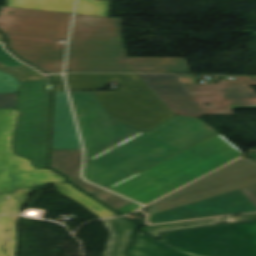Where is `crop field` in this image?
<instances>
[{"mask_svg": "<svg viewBox=\"0 0 256 256\" xmlns=\"http://www.w3.org/2000/svg\"><path fill=\"white\" fill-rule=\"evenodd\" d=\"M138 75L176 115L234 114L232 109L256 108V93L249 87L256 85V76L236 77L239 81H220L219 85L191 86L181 84L176 75Z\"/></svg>", "mask_w": 256, "mask_h": 256, "instance_id": "crop-field-7", "label": "crop field"}, {"mask_svg": "<svg viewBox=\"0 0 256 256\" xmlns=\"http://www.w3.org/2000/svg\"><path fill=\"white\" fill-rule=\"evenodd\" d=\"M242 154L218 134L108 189L146 205Z\"/></svg>", "mask_w": 256, "mask_h": 256, "instance_id": "crop-field-4", "label": "crop field"}, {"mask_svg": "<svg viewBox=\"0 0 256 256\" xmlns=\"http://www.w3.org/2000/svg\"><path fill=\"white\" fill-rule=\"evenodd\" d=\"M218 223H223V222L220 218H213V219L197 220V221L174 223V224L147 226V227L141 228V231L157 239H160L161 232L163 231L182 229V228H188V227L206 225V224H218Z\"/></svg>", "mask_w": 256, "mask_h": 256, "instance_id": "crop-field-16", "label": "crop field"}, {"mask_svg": "<svg viewBox=\"0 0 256 256\" xmlns=\"http://www.w3.org/2000/svg\"><path fill=\"white\" fill-rule=\"evenodd\" d=\"M17 96L15 93L0 94V108H15Z\"/></svg>", "mask_w": 256, "mask_h": 256, "instance_id": "crop-field-20", "label": "crop field"}, {"mask_svg": "<svg viewBox=\"0 0 256 256\" xmlns=\"http://www.w3.org/2000/svg\"><path fill=\"white\" fill-rule=\"evenodd\" d=\"M139 207H141V206L133 202L117 211L120 212L121 214H126V213L133 212L134 210L138 209Z\"/></svg>", "mask_w": 256, "mask_h": 256, "instance_id": "crop-field-25", "label": "crop field"}, {"mask_svg": "<svg viewBox=\"0 0 256 256\" xmlns=\"http://www.w3.org/2000/svg\"><path fill=\"white\" fill-rule=\"evenodd\" d=\"M215 134L201 119L176 116L91 160L84 177L107 188Z\"/></svg>", "mask_w": 256, "mask_h": 256, "instance_id": "crop-field-2", "label": "crop field"}, {"mask_svg": "<svg viewBox=\"0 0 256 256\" xmlns=\"http://www.w3.org/2000/svg\"><path fill=\"white\" fill-rule=\"evenodd\" d=\"M70 90L99 89L117 80L121 91L95 92L110 115L145 131L175 116L138 76L132 74H66Z\"/></svg>", "mask_w": 256, "mask_h": 256, "instance_id": "crop-field-8", "label": "crop field"}, {"mask_svg": "<svg viewBox=\"0 0 256 256\" xmlns=\"http://www.w3.org/2000/svg\"><path fill=\"white\" fill-rule=\"evenodd\" d=\"M254 183L256 163L243 158L151 204L149 211L158 212Z\"/></svg>", "mask_w": 256, "mask_h": 256, "instance_id": "crop-field-11", "label": "crop field"}, {"mask_svg": "<svg viewBox=\"0 0 256 256\" xmlns=\"http://www.w3.org/2000/svg\"><path fill=\"white\" fill-rule=\"evenodd\" d=\"M89 161L144 133L108 116L93 92H70Z\"/></svg>", "mask_w": 256, "mask_h": 256, "instance_id": "crop-field-10", "label": "crop field"}, {"mask_svg": "<svg viewBox=\"0 0 256 256\" xmlns=\"http://www.w3.org/2000/svg\"><path fill=\"white\" fill-rule=\"evenodd\" d=\"M54 78V91H65L62 75H51Z\"/></svg>", "mask_w": 256, "mask_h": 256, "instance_id": "crop-field-23", "label": "crop field"}, {"mask_svg": "<svg viewBox=\"0 0 256 256\" xmlns=\"http://www.w3.org/2000/svg\"><path fill=\"white\" fill-rule=\"evenodd\" d=\"M17 117V110H0V214L19 215V207L34 187L16 190L15 194L3 192L55 183L60 193L79 202L100 218L118 216L70 184H59L66 182L62 175L50 168L36 169L29 159L14 155L11 139ZM19 218L0 216V256H14L17 241L16 224Z\"/></svg>", "mask_w": 256, "mask_h": 256, "instance_id": "crop-field-1", "label": "crop field"}, {"mask_svg": "<svg viewBox=\"0 0 256 256\" xmlns=\"http://www.w3.org/2000/svg\"><path fill=\"white\" fill-rule=\"evenodd\" d=\"M21 82L15 77L0 71V93L18 92Z\"/></svg>", "mask_w": 256, "mask_h": 256, "instance_id": "crop-field-19", "label": "crop field"}, {"mask_svg": "<svg viewBox=\"0 0 256 256\" xmlns=\"http://www.w3.org/2000/svg\"><path fill=\"white\" fill-rule=\"evenodd\" d=\"M65 92H54L51 149H81Z\"/></svg>", "mask_w": 256, "mask_h": 256, "instance_id": "crop-field-12", "label": "crop field"}, {"mask_svg": "<svg viewBox=\"0 0 256 256\" xmlns=\"http://www.w3.org/2000/svg\"><path fill=\"white\" fill-rule=\"evenodd\" d=\"M223 218L227 222L256 220V213L255 214H245V215H241V216H229V217H223Z\"/></svg>", "mask_w": 256, "mask_h": 256, "instance_id": "crop-field-22", "label": "crop field"}, {"mask_svg": "<svg viewBox=\"0 0 256 256\" xmlns=\"http://www.w3.org/2000/svg\"><path fill=\"white\" fill-rule=\"evenodd\" d=\"M256 205V185L241 189Z\"/></svg>", "mask_w": 256, "mask_h": 256, "instance_id": "crop-field-24", "label": "crop field"}, {"mask_svg": "<svg viewBox=\"0 0 256 256\" xmlns=\"http://www.w3.org/2000/svg\"><path fill=\"white\" fill-rule=\"evenodd\" d=\"M97 199L101 200L102 202L106 203L107 205L111 206L114 210H117L129 203L130 201L115 195L111 192H108L106 190H103L95 195H93Z\"/></svg>", "mask_w": 256, "mask_h": 256, "instance_id": "crop-field-18", "label": "crop field"}, {"mask_svg": "<svg viewBox=\"0 0 256 256\" xmlns=\"http://www.w3.org/2000/svg\"><path fill=\"white\" fill-rule=\"evenodd\" d=\"M111 236L103 256H125L126 247L132 242L137 225L123 218L103 221Z\"/></svg>", "mask_w": 256, "mask_h": 256, "instance_id": "crop-field-14", "label": "crop field"}, {"mask_svg": "<svg viewBox=\"0 0 256 256\" xmlns=\"http://www.w3.org/2000/svg\"><path fill=\"white\" fill-rule=\"evenodd\" d=\"M110 1L78 0L76 13L108 17Z\"/></svg>", "mask_w": 256, "mask_h": 256, "instance_id": "crop-field-17", "label": "crop field"}, {"mask_svg": "<svg viewBox=\"0 0 256 256\" xmlns=\"http://www.w3.org/2000/svg\"><path fill=\"white\" fill-rule=\"evenodd\" d=\"M129 218H131V219H134V218H141V217H135V216H133V215H130V216H128Z\"/></svg>", "mask_w": 256, "mask_h": 256, "instance_id": "crop-field-26", "label": "crop field"}, {"mask_svg": "<svg viewBox=\"0 0 256 256\" xmlns=\"http://www.w3.org/2000/svg\"><path fill=\"white\" fill-rule=\"evenodd\" d=\"M75 0H7L8 6L59 12H73Z\"/></svg>", "mask_w": 256, "mask_h": 256, "instance_id": "crop-field-15", "label": "crop field"}, {"mask_svg": "<svg viewBox=\"0 0 256 256\" xmlns=\"http://www.w3.org/2000/svg\"><path fill=\"white\" fill-rule=\"evenodd\" d=\"M0 62L5 64L6 66H18L21 65L16 59L10 56L7 52L2 49V45L0 44Z\"/></svg>", "mask_w": 256, "mask_h": 256, "instance_id": "crop-field-21", "label": "crop field"}, {"mask_svg": "<svg viewBox=\"0 0 256 256\" xmlns=\"http://www.w3.org/2000/svg\"><path fill=\"white\" fill-rule=\"evenodd\" d=\"M50 80L23 83L18 109L20 116L14 136L19 155L36 167H46Z\"/></svg>", "mask_w": 256, "mask_h": 256, "instance_id": "crop-field-9", "label": "crop field"}, {"mask_svg": "<svg viewBox=\"0 0 256 256\" xmlns=\"http://www.w3.org/2000/svg\"><path fill=\"white\" fill-rule=\"evenodd\" d=\"M72 15L5 8L0 9V29L20 58L48 72L62 73Z\"/></svg>", "mask_w": 256, "mask_h": 256, "instance_id": "crop-field-5", "label": "crop field"}, {"mask_svg": "<svg viewBox=\"0 0 256 256\" xmlns=\"http://www.w3.org/2000/svg\"><path fill=\"white\" fill-rule=\"evenodd\" d=\"M81 163V150H51L50 166L65 174L70 182L78 185L91 195L103 190L81 180Z\"/></svg>", "mask_w": 256, "mask_h": 256, "instance_id": "crop-field-13", "label": "crop field"}, {"mask_svg": "<svg viewBox=\"0 0 256 256\" xmlns=\"http://www.w3.org/2000/svg\"><path fill=\"white\" fill-rule=\"evenodd\" d=\"M131 256H256V222L164 233L155 241L140 233Z\"/></svg>", "mask_w": 256, "mask_h": 256, "instance_id": "crop-field-6", "label": "crop field"}, {"mask_svg": "<svg viewBox=\"0 0 256 256\" xmlns=\"http://www.w3.org/2000/svg\"><path fill=\"white\" fill-rule=\"evenodd\" d=\"M122 19L76 14L66 72L190 73L185 59L125 57Z\"/></svg>", "mask_w": 256, "mask_h": 256, "instance_id": "crop-field-3", "label": "crop field"}, {"mask_svg": "<svg viewBox=\"0 0 256 256\" xmlns=\"http://www.w3.org/2000/svg\"><path fill=\"white\" fill-rule=\"evenodd\" d=\"M0 41L4 42V39H3V37L1 36V34H0Z\"/></svg>", "mask_w": 256, "mask_h": 256, "instance_id": "crop-field-27", "label": "crop field"}]
</instances>
